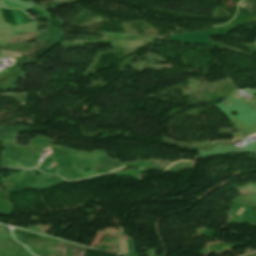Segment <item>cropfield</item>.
Instances as JSON below:
<instances>
[{
	"label": "crop field",
	"mask_w": 256,
	"mask_h": 256,
	"mask_svg": "<svg viewBox=\"0 0 256 256\" xmlns=\"http://www.w3.org/2000/svg\"><path fill=\"white\" fill-rule=\"evenodd\" d=\"M0 4L6 5V6L10 7V8H20V9H22L23 11L26 10L25 8L20 7V6L14 4V3H12V2H10V1H8V0H2V1L0 2Z\"/></svg>",
	"instance_id": "34b2d1b8"
},
{
	"label": "crop field",
	"mask_w": 256,
	"mask_h": 256,
	"mask_svg": "<svg viewBox=\"0 0 256 256\" xmlns=\"http://www.w3.org/2000/svg\"><path fill=\"white\" fill-rule=\"evenodd\" d=\"M1 10H2V14H3L6 22H8L12 25H15V24L19 25V24L24 23L17 9H10L12 16L14 18L15 24H14L13 18L11 16L10 10L6 9V8H1Z\"/></svg>",
	"instance_id": "8a807250"
},
{
	"label": "crop field",
	"mask_w": 256,
	"mask_h": 256,
	"mask_svg": "<svg viewBox=\"0 0 256 256\" xmlns=\"http://www.w3.org/2000/svg\"><path fill=\"white\" fill-rule=\"evenodd\" d=\"M239 5L246 10L256 11V0H244Z\"/></svg>",
	"instance_id": "ac0d7876"
}]
</instances>
